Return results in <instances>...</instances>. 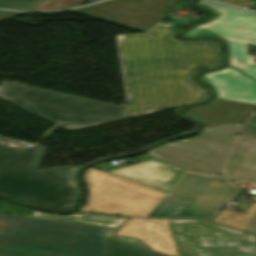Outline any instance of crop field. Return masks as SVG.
Masks as SVG:
<instances>
[{"instance_id": "crop-field-13", "label": "crop field", "mask_w": 256, "mask_h": 256, "mask_svg": "<svg viewBox=\"0 0 256 256\" xmlns=\"http://www.w3.org/2000/svg\"><path fill=\"white\" fill-rule=\"evenodd\" d=\"M222 171L228 178L253 185L256 189V138L238 135Z\"/></svg>"}, {"instance_id": "crop-field-10", "label": "crop field", "mask_w": 256, "mask_h": 256, "mask_svg": "<svg viewBox=\"0 0 256 256\" xmlns=\"http://www.w3.org/2000/svg\"><path fill=\"white\" fill-rule=\"evenodd\" d=\"M171 0H109L71 10L109 23L145 32L156 23Z\"/></svg>"}, {"instance_id": "crop-field-3", "label": "crop field", "mask_w": 256, "mask_h": 256, "mask_svg": "<svg viewBox=\"0 0 256 256\" xmlns=\"http://www.w3.org/2000/svg\"><path fill=\"white\" fill-rule=\"evenodd\" d=\"M44 148L0 145V193L18 201L58 210L76 204L78 166L36 170Z\"/></svg>"}, {"instance_id": "crop-field-7", "label": "crop field", "mask_w": 256, "mask_h": 256, "mask_svg": "<svg viewBox=\"0 0 256 256\" xmlns=\"http://www.w3.org/2000/svg\"><path fill=\"white\" fill-rule=\"evenodd\" d=\"M85 177L89 195L83 211L144 216L165 195L93 168L86 171Z\"/></svg>"}, {"instance_id": "crop-field-1", "label": "crop field", "mask_w": 256, "mask_h": 256, "mask_svg": "<svg viewBox=\"0 0 256 256\" xmlns=\"http://www.w3.org/2000/svg\"><path fill=\"white\" fill-rule=\"evenodd\" d=\"M173 26L158 21L146 33L116 35L129 117L206 98L189 77L220 63L218 45L177 41Z\"/></svg>"}, {"instance_id": "crop-field-22", "label": "crop field", "mask_w": 256, "mask_h": 256, "mask_svg": "<svg viewBox=\"0 0 256 256\" xmlns=\"http://www.w3.org/2000/svg\"><path fill=\"white\" fill-rule=\"evenodd\" d=\"M248 123H250V124L256 126V113H255L254 116L250 119V121H249Z\"/></svg>"}, {"instance_id": "crop-field-8", "label": "crop field", "mask_w": 256, "mask_h": 256, "mask_svg": "<svg viewBox=\"0 0 256 256\" xmlns=\"http://www.w3.org/2000/svg\"><path fill=\"white\" fill-rule=\"evenodd\" d=\"M219 13L209 23L201 24L185 34L184 37L198 35H217L227 41L229 46V65L239 68L256 79V56L249 55L247 43L256 45V14L238 8L199 0Z\"/></svg>"}, {"instance_id": "crop-field-21", "label": "crop field", "mask_w": 256, "mask_h": 256, "mask_svg": "<svg viewBox=\"0 0 256 256\" xmlns=\"http://www.w3.org/2000/svg\"><path fill=\"white\" fill-rule=\"evenodd\" d=\"M245 230L256 233V215L254 216V218L252 219V221L249 223Z\"/></svg>"}, {"instance_id": "crop-field-4", "label": "crop field", "mask_w": 256, "mask_h": 256, "mask_svg": "<svg viewBox=\"0 0 256 256\" xmlns=\"http://www.w3.org/2000/svg\"><path fill=\"white\" fill-rule=\"evenodd\" d=\"M0 98L67 130L128 117L127 106L83 99L4 81Z\"/></svg>"}, {"instance_id": "crop-field-14", "label": "crop field", "mask_w": 256, "mask_h": 256, "mask_svg": "<svg viewBox=\"0 0 256 256\" xmlns=\"http://www.w3.org/2000/svg\"><path fill=\"white\" fill-rule=\"evenodd\" d=\"M256 105L217 99L209 105L192 108L184 113L203 125L246 121Z\"/></svg>"}, {"instance_id": "crop-field-12", "label": "crop field", "mask_w": 256, "mask_h": 256, "mask_svg": "<svg viewBox=\"0 0 256 256\" xmlns=\"http://www.w3.org/2000/svg\"><path fill=\"white\" fill-rule=\"evenodd\" d=\"M217 92L216 98H223L256 104V82L230 67L201 76Z\"/></svg>"}, {"instance_id": "crop-field-18", "label": "crop field", "mask_w": 256, "mask_h": 256, "mask_svg": "<svg viewBox=\"0 0 256 256\" xmlns=\"http://www.w3.org/2000/svg\"><path fill=\"white\" fill-rule=\"evenodd\" d=\"M82 0H46L36 10L67 8L80 5Z\"/></svg>"}, {"instance_id": "crop-field-19", "label": "crop field", "mask_w": 256, "mask_h": 256, "mask_svg": "<svg viewBox=\"0 0 256 256\" xmlns=\"http://www.w3.org/2000/svg\"><path fill=\"white\" fill-rule=\"evenodd\" d=\"M239 133L246 136L256 137V127L246 124L241 128Z\"/></svg>"}, {"instance_id": "crop-field-17", "label": "crop field", "mask_w": 256, "mask_h": 256, "mask_svg": "<svg viewBox=\"0 0 256 256\" xmlns=\"http://www.w3.org/2000/svg\"><path fill=\"white\" fill-rule=\"evenodd\" d=\"M256 213V203L246 213L222 211L215 221L244 230Z\"/></svg>"}, {"instance_id": "crop-field-20", "label": "crop field", "mask_w": 256, "mask_h": 256, "mask_svg": "<svg viewBox=\"0 0 256 256\" xmlns=\"http://www.w3.org/2000/svg\"><path fill=\"white\" fill-rule=\"evenodd\" d=\"M223 2L226 3H230V4H234V5H238V6H242V7H246L249 3H251V0H221Z\"/></svg>"}, {"instance_id": "crop-field-9", "label": "crop field", "mask_w": 256, "mask_h": 256, "mask_svg": "<svg viewBox=\"0 0 256 256\" xmlns=\"http://www.w3.org/2000/svg\"><path fill=\"white\" fill-rule=\"evenodd\" d=\"M240 124L204 128L196 138L164 144L146 153L190 170L217 175Z\"/></svg>"}, {"instance_id": "crop-field-15", "label": "crop field", "mask_w": 256, "mask_h": 256, "mask_svg": "<svg viewBox=\"0 0 256 256\" xmlns=\"http://www.w3.org/2000/svg\"><path fill=\"white\" fill-rule=\"evenodd\" d=\"M114 231L107 229L104 256H165L149 250L135 239L114 236Z\"/></svg>"}, {"instance_id": "crop-field-5", "label": "crop field", "mask_w": 256, "mask_h": 256, "mask_svg": "<svg viewBox=\"0 0 256 256\" xmlns=\"http://www.w3.org/2000/svg\"><path fill=\"white\" fill-rule=\"evenodd\" d=\"M240 190L225 177L187 172L170 195L159 202L146 217H191L212 219L222 208L236 200Z\"/></svg>"}, {"instance_id": "crop-field-16", "label": "crop field", "mask_w": 256, "mask_h": 256, "mask_svg": "<svg viewBox=\"0 0 256 256\" xmlns=\"http://www.w3.org/2000/svg\"><path fill=\"white\" fill-rule=\"evenodd\" d=\"M33 217L67 221V222H77L83 224H91L109 228L118 229L128 218L110 215H100V214H83L80 216L69 215V216H58L54 214L44 213L40 211L33 210Z\"/></svg>"}, {"instance_id": "crop-field-11", "label": "crop field", "mask_w": 256, "mask_h": 256, "mask_svg": "<svg viewBox=\"0 0 256 256\" xmlns=\"http://www.w3.org/2000/svg\"><path fill=\"white\" fill-rule=\"evenodd\" d=\"M186 170L155 159L110 173L134 180L162 193H169Z\"/></svg>"}, {"instance_id": "crop-field-6", "label": "crop field", "mask_w": 256, "mask_h": 256, "mask_svg": "<svg viewBox=\"0 0 256 256\" xmlns=\"http://www.w3.org/2000/svg\"><path fill=\"white\" fill-rule=\"evenodd\" d=\"M168 225L178 256H256L253 234L196 220L171 219Z\"/></svg>"}, {"instance_id": "crop-field-2", "label": "crop field", "mask_w": 256, "mask_h": 256, "mask_svg": "<svg viewBox=\"0 0 256 256\" xmlns=\"http://www.w3.org/2000/svg\"><path fill=\"white\" fill-rule=\"evenodd\" d=\"M105 229L0 214V256H102Z\"/></svg>"}]
</instances>
